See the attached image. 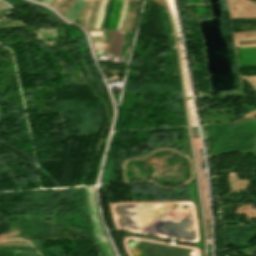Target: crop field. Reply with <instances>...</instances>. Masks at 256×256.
<instances>
[{
	"instance_id": "obj_1",
	"label": "crop field",
	"mask_w": 256,
	"mask_h": 256,
	"mask_svg": "<svg viewBox=\"0 0 256 256\" xmlns=\"http://www.w3.org/2000/svg\"><path fill=\"white\" fill-rule=\"evenodd\" d=\"M10 8L9 5L5 4L3 1L0 0V11Z\"/></svg>"
}]
</instances>
